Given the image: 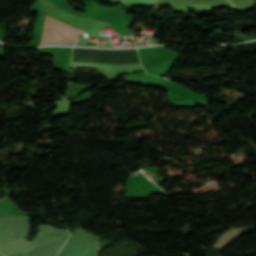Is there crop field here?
Masks as SVG:
<instances>
[{
	"label": "crop field",
	"instance_id": "obj_1",
	"mask_svg": "<svg viewBox=\"0 0 256 256\" xmlns=\"http://www.w3.org/2000/svg\"><path fill=\"white\" fill-rule=\"evenodd\" d=\"M83 31L46 16L40 45H73Z\"/></svg>",
	"mask_w": 256,
	"mask_h": 256
},
{
	"label": "crop field",
	"instance_id": "obj_2",
	"mask_svg": "<svg viewBox=\"0 0 256 256\" xmlns=\"http://www.w3.org/2000/svg\"><path fill=\"white\" fill-rule=\"evenodd\" d=\"M122 1L133 2V3H137V2L148 3V2H151V1H155V0H122ZM156 3H157V1L148 3L147 5H155Z\"/></svg>",
	"mask_w": 256,
	"mask_h": 256
}]
</instances>
